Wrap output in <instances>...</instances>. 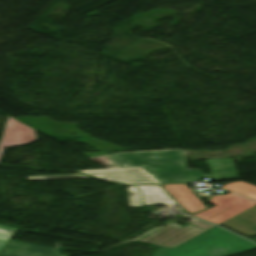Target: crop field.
<instances>
[{"instance_id":"crop-field-1","label":"crop field","mask_w":256,"mask_h":256,"mask_svg":"<svg viewBox=\"0 0 256 256\" xmlns=\"http://www.w3.org/2000/svg\"><path fill=\"white\" fill-rule=\"evenodd\" d=\"M120 167L143 166L160 183L197 181L205 177L187 170L183 151H155L111 154Z\"/></svg>"},{"instance_id":"crop-field-2","label":"crop field","mask_w":256,"mask_h":256,"mask_svg":"<svg viewBox=\"0 0 256 256\" xmlns=\"http://www.w3.org/2000/svg\"><path fill=\"white\" fill-rule=\"evenodd\" d=\"M253 249L256 244L216 226L174 249L161 247L153 256H231Z\"/></svg>"},{"instance_id":"crop-field-3","label":"crop field","mask_w":256,"mask_h":256,"mask_svg":"<svg viewBox=\"0 0 256 256\" xmlns=\"http://www.w3.org/2000/svg\"><path fill=\"white\" fill-rule=\"evenodd\" d=\"M187 219L191 221V224L203 229L204 231L215 226L191 217ZM204 231L190 225L183 228L175 223H172L139 241L174 248L175 246L195 237Z\"/></svg>"},{"instance_id":"crop-field-4","label":"crop field","mask_w":256,"mask_h":256,"mask_svg":"<svg viewBox=\"0 0 256 256\" xmlns=\"http://www.w3.org/2000/svg\"><path fill=\"white\" fill-rule=\"evenodd\" d=\"M209 202L217 206L193 216L217 225L256 205V202L230 192L226 195L212 196Z\"/></svg>"},{"instance_id":"crop-field-5","label":"crop field","mask_w":256,"mask_h":256,"mask_svg":"<svg viewBox=\"0 0 256 256\" xmlns=\"http://www.w3.org/2000/svg\"><path fill=\"white\" fill-rule=\"evenodd\" d=\"M78 172L129 184L159 183L143 167L84 170Z\"/></svg>"},{"instance_id":"crop-field-6","label":"crop field","mask_w":256,"mask_h":256,"mask_svg":"<svg viewBox=\"0 0 256 256\" xmlns=\"http://www.w3.org/2000/svg\"><path fill=\"white\" fill-rule=\"evenodd\" d=\"M36 140L34 129L8 117L0 139V158L4 147L21 146Z\"/></svg>"},{"instance_id":"crop-field-7","label":"crop field","mask_w":256,"mask_h":256,"mask_svg":"<svg viewBox=\"0 0 256 256\" xmlns=\"http://www.w3.org/2000/svg\"><path fill=\"white\" fill-rule=\"evenodd\" d=\"M0 256H61L56 248L9 240Z\"/></svg>"},{"instance_id":"crop-field-8","label":"crop field","mask_w":256,"mask_h":256,"mask_svg":"<svg viewBox=\"0 0 256 256\" xmlns=\"http://www.w3.org/2000/svg\"><path fill=\"white\" fill-rule=\"evenodd\" d=\"M190 214L206 208L185 184L162 185Z\"/></svg>"},{"instance_id":"crop-field-9","label":"crop field","mask_w":256,"mask_h":256,"mask_svg":"<svg viewBox=\"0 0 256 256\" xmlns=\"http://www.w3.org/2000/svg\"><path fill=\"white\" fill-rule=\"evenodd\" d=\"M221 225L245 236L256 234V206L222 223Z\"/></svg>"},{"instance_id":"crop-field-10","label":"crop field","mask_w":256,"mask_h":256,"mask_svg":"<svg viewBox=\"0 0 256 256\" xmlns=\"http://www.w3.org/2000/svg\"><path fill=\"white\" fill-rule=\"evenodd\" d=\"M137 187L142 192L144 205L178 203L161 185Z\"/></svg>"},{"instance_id":"crop-field-11","label":"crop field","mask_w":256,"mask_h":256,"mask_svg":"<svg viewBox=\"0 0 256 256\" xmlns=\"http://www.w3.org/2000/svg\"><path fill=\"white\" fill-rule=\"evenodd\" d=\"M211 174L206 175L210 179H222L238 177L233 161L230 158L206 160Z\"/></svg>"},{"instance_id":"crop-field-12","label":"crop field","mask_w":256,"mask_h":256,"mask_svg":"<svg viewBox=\"0 0 256 256\" xmlns=\"http://www.w3.org/2000/svg\"><path fill=\"white\" fill-rule=\"evenodd\" d=\"M222 188L228 189L240 195L256 200V187L248 185L246 183H243V182L233 183V184L225 185Z\"/></svg>"},{"instance_id":"crop-field-13","label":"crop field","mask_w":256,"mask_h":256,"mask_svg":"<svg viewBox=\"0 0 256 256\" xmlns=\"http://www.w3.org/2000/svg\"><path fill=\"white\" fill-rule=\"evenodd\" d=\"M126 190L129 199V207L142 206L140 193L137 191L135 186L128 187Z\"/></svg>"},{"instance_id":"crop-field-14","label":"crop field","mask_w":256,"mask_h":256,"mask_svg":"<svg viewBox=\"0 0 256 256\" xmlns=\"http://www.w3.org/2000/svg\"><path fill=\"white\" fill-rule=\"evenodd\" d=\"M16 230L17 229L15 228L0 226V251L4 248Z\"/></svg>"},{"instance_id":"crop-field-15","label":"crop field","mask_w":256,"mask_h":256,"mask_svg":"<svg viewBox=\"0 0 256 256\" xmlns=\"http://www.w3.org/2000/svg\"><path fill=\"white\" fill-rule=\"evenodd\" d=\"M87 176L81 174L75 175H47V176H33L27 177L28 180H44V179H64V178H84Z\"/></svg>"}]
</instances>
